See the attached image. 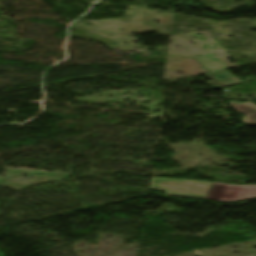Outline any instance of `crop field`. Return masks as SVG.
Masks as SVG:
<instances>
[{"label":"crop field","mask_w":256,"mask_h":256,"mask_svg":"<svg viewBox=\"0 0 256 256\" xmlns=\"http://www.w3.org/2000/svg\"><path fill=\"white\" fill-rule=\"evenodd\" d=\"M205 76L208 79H213L212 81L208 82L213 89H220V87H222L223 85L230 86V85H235L243 82L236 79L227 71L210 73V74H206ZM219 76L224 77V79H219L218 78Z\"/></svg>","instance_id":"34b2d1b8"},{"label":"crop field","mask_w":256,"mask_h":256,"mask_svg":"<svg viewBox=\"0 0 256 256\" xmlns=\"http://www.w3.org/2000/svg\"><path fill=\"white\" fill-rule=\"evenodd\" d=\"M256 197V186L227 185L214 182L206 198L225 202Z\"/></svg>","instance_id":"8a807250"},{"label":"crop field","mask_w":256,"mask_h":256,"mask_svg":"<svg viewBox=\"0 0 256 256\" xmlns=\"http://www.w3.org/2000/svg\"><path fill=\"white\" fill-rule=\"evenodd\" d=\"M231 107L238 111L239 114H245L246 116L244 117L243 121L247 125L255 126L256 125V105L251 103V102H246V103H241L240 104H235V101H232ZM247 118V119H245Z\"/></svg>","instance_id":"412701ff"},{"label":"crop field","mask_w":256,"mask_h":256,"mask_svg":"<svg viewBox=\"0 0 256 256\" xmlns=\"http://www.w3.org/2000/svg\"><path fill=\"white\" fill-rule=\"evenodd\" d=\"M153 180H162V181H177V182H190V183H202V184H209L208 186L203 185H193V184H177V183H166V182H154ZM153 183H162V184H168V185H179V186H194V187H204L208 188L210 187L211 183L208 182H200V181H184V180H174V179H164V178H152L151 181V188L165 191L167 195H173V196H183V197H194V198H204V196L201 195H194V194H186V193H172L174 192H189V193H199V194H205L204 192L200 191H190V190H177V189H191V190H201V191H208V189L204 188H193V187H176V186H163V185H157ZM154 186L158 187H167V188H177V189H167V188H154ZM207 193V192H206Z\"/></svg>","instance_id":"ac0d7876"}]
</instances>
